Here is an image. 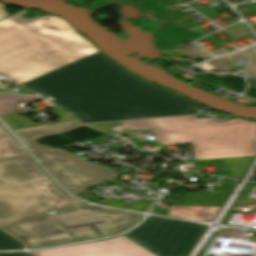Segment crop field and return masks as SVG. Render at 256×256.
Masks as SVG:
<instances>
[{
    "label": "crop field",
    "instance_id": "1",
    "mask_svg": "<svg viewBox=\"0 0 256 256\" xmlns=\"http://www.w3.org/2000/svg\"><path fill=\"white\" fill-rule=\"evenodd\" d=\"M0 21V75L84 123L192 114L193 101L122 68L58 16ZM49 17L48 20H45Z\"/></svg>",
    "mask_w": 256,
    "mask_h": 256
},
{
    "label": "crop field",
    "instance_id": "2",
    "mask_svg": "<svg viewBox=\"0 0 256 256\" xmlns=\"http://www.w3.org/2000/svg\"><path fill=\"white\" fill-rule=\"evenodd\" d=\"M83 205L61 192L27 154L0 159V225Z\"/></svg>",
    "mask_w": 256,
    "mask_h": 256
},
{
    "label": "crop field",
    "instance_id": "3",
    "mask_svg": "<svg viewBox=\"0 0 256 256\" xmlns=\"http://www.w3.org/2000/svg\"><path fill=\"white\" fill-rule=\"evenodd\" d=\"M140 218V214L89 205L3 229L35 248L114 235Z\"/></svg>",
    "mask_w": 256,
    "mask_h": 256
},
{
    "label": "crop field",
    "instance_id": "4",
    "mask_svg": "<svg viewBox=\"0 0 256 256\" xmlns=\"http://www.w3.org/2000/svg\"><path fill=\"white\" fill-rule=\"evenodd\" d=\"M175 144L189 143L196 160L256 153V123L232 119L216 123L212 119L195 120L194 116L169 118Z\"/></svg>",
    "mask_w": 256,
    "mask_h": 256
},
{
    "label": "crop field",
    "instance_id": "5",
    "mask_svg": "<svg viewBox=\"0 0 256 256\" xmlns=\"http://www.w3.org/2000/svg\"><path fill=\"white\" fill-rule=\"evenodd\" d=\"M203 229L204 226L200 224L151 217L125 236L159 256H186ZM0 256H28V254L12 253L0 254Z\"/></svg>",
    "mask_w": 256,
    "mask_h": 256
},
{
    "label": "crop field",
    "instance_id": "6",
    "mask_svg": "<svg viewBox=\"0 0 256 256\" xmlns=\"http://www.w3.org/2000/svg\"><path fill=\"white\" fill-rule=\"evenodd\" d=\"M33 154L72 194L100 181L115 182L117 178L115 171L93 165L63 150L55 149Z\"/></svg>",
    "mask_w": 256,
    "mask_h": 256
},
{
    "label": "crop field",
    "instance_id": "7",
    "mask_svg": "<svg viewBox=\"0 0 256 256\" xmlns=\"http://www.w3.org/2000/svg\"><path fill=\"white\" fill-rule=\"evenodd\" d=\"M32 253L34 256H156L123 236L113 240Z\"/></svg>",
    "mask_w": 256,
    "mask_h": 256
},
{
    "label": "crop field",
    "instance_id": "8",
    "mask_svg": "<svg viewBox=\"0 0 256 256\" xmlns=\"http://www.w3.org/2000/svg\"><path fill=\"white\" fill-rule=\"evenodd\" d=\"M80 122L77 120L58 123L48 126L22 129L14 131L16 135L23 141V143L29 148L31 152L48 150L50 147H44L36 142L40 137L49 136L53 134H60L62 132L74 130L80 127H83Z\"/></svg>",
    "mask_w": 256,
    "mask_h": 256
},
{
    "label": "crop field",
    "instance_id": "9",
    "mask_svg": "<svg viewBox=\"0 0 256 256\" xmlns=\"http://www.w3.org/2000/svg\"><path fill=\"white\" fill-rule=\"evenodd\" d=\"M164 21L166 22V26L162 30H158L163 26ZM154 35L160 51L178 49L174 44L188 39L202 37L200 34L182 30L164 19L158 21Z\"/></svg>",
    "mask_w": 256,
    "mask_h": 256
},
{
    "label": "crop field",
    "instance_id": "10",
    "mask_svg": "<svg viewBox=\"0 0 256 256\" xmlns=\"http://www.w3.org/2000/svg\"><path fill=\"white\" fill-rule=\"evenodd\" d=\"M230 193L231 191L185 194L177 201L163 200L173 203L171 206H222Z\"/></svg>",
    "mask_w": 256,
    "mask_h": 256
},
{
    "label": "crop field",
    "instance_id": "11",
    "mask_svg": "<svg viewBox=\"0 0 256 256\" xmlns=\"http://www.w3.org/2000/svg\"><path fill=\"white\" fill-rule=\"evenodd\" d=\"M220 207H170V215L199 221L212 220Z\"/></svg>",
    "mask_w": 256,
    "mask_h": 256
},
{
    "label": "crop field",
    "instance_id": "12",
    "mask_svg": "<svg viewBox=\"0 0 256 256\" xmlns=\"http://www.w3.org/2000/svg\"><path fill=\"white\" fill-rule=\"evenodd\" d=\"M0 117L6 122V124L12 130L53 124V123H32L26 116H19L17 114L3 115ZM57 117H60V119H58L56 123L75 119L69 114H65Z\"/></svg>",
    "mask_w": 256,
    "mask_h": 256
},
{
    "label": "crop field",
    "instance_id": "13",
    "mask_svg": "<svg viewBox=\"0 0 256 256\" xmlns=\"http://www.w3.org/2000/svg\"><path fill=\"white\" fill-rule=\"evenodd\" d=\"M252 159L253 157H240V158L217 159V160H203V161H194V162L201 163V162L226 161L233 174H223L220 176L243 179Z\"/></svg>",
    "mask_w": 256,
    "mask_h": 256
},
{
    "label": "crop field",
    "instance_id": "14",
    "mask_svg": "<svg viewBox=\"0 0 256 256\" xmlns=\"http://www.w3.org/2000/svg\"><path fill=\"white\" fill-rule=\"evenodd\" d=\"M42 100L50 107L54 105L39 98L38 96H26V95H15V94H0V115L15 113L17 101H34Z\"/></svg>",
    "mask_w": 256,
    "mask_h": 256
},
{
    "label": "crop field",
    "instance_id": "15",
    "mask_svg": "<svg viewBox=\"0 0 256 256\" xmlns=\"http://www.w3.org/2000/svg\"><path fill=\"white\" fill-rule=\"evenodd\" d=\"M156 139L164 145L174 144L168 118L148 120Z\"/></svg>",
    "mask_w": 256,
    "mask_h": 256
},
{
    "label": "crop field",
    "instance_id": "16",
    "mask_svg": "<svg viewBox=\"0 0 256 256\" xmlns=\"http://www.w3.org/2000/svg\"><path fill=\"white\" fill-rule=\"evenodd\" d=\"M243 54H244L243 51H238L236 53L219 58L217 60L204 63L201 65V67L207 71H212V72H215V71L229 72L234 59H245V56Z\"/></svg>",
    "mask_w": 256,
    "mask_h": 256
},
{
    "label": "crop field",
    "instance_id": "17",
    "mask_svg": "<svg viewBox=\"0 0 256 256\" xmlns=\"http://www.w3.org/2000/svg\"><path fill=\"white\" fill-rule=\"evenodd\" d=\"M25 151L8 132L0 133V158L24 154Z\"/></svg>",
    "mask_w": 256,
    "mask_h": 256
},
{
    "label": "crop field",
    "instance_id": "18",
    "mask_svg": "<svg viewBox=\"0 0 256 256\" xmlns=\"http://www.w3.org/2000/svg\"><path fill=\"white\" fill-rule=\"evenodd\" d=\"M154 201H136L130 203V205H126L125 202L119 201L117 199L108 200L105 202H101L98 204L110 206V207H117V208H125L137 211H144L146 210Z\"/></svg>",
    "mask_w": 256,
    "mask_h": 256
},
{
    "label": "crop field",
    "instance_id": "19",
    "mask_svg": "<svg viewBox=\"0 0 256 256\" xmlns=\"http://www.w3.org/2000/svg\"><path fill=\"white\" fill-rule=\"evenodd\" d=\"M23 248L22 244L0 230V250Z\"/></svg>",
    "mask_w": 256,
    "mask_h": 256
},
{
    "label": "crop field",
    "instance_id": "20",
    "mask_svg": "<svg viewBox=\"0 0 256 256\" xmlns=\"http://www.w3.org/2000/svg\"><path fill=\"white\" fill-rule=\"evenodd\" d=\"M176 51H178L184 55H187V56H194V57L204 59V60L213 58L212 56H210L208 53H206L204 50H202L197 45H193V46H190V47H187V48H184L181 50H176Z\"/></svg>",
    "mask_w": 256,
    "mask_h": 256
},
{
    "label": "crop field",
    "instance_id": "21",
    "mask_svg": "<svg viewBox=\"0 0 256 256\" xmlns=\"http://www.w3.org/2000/svg\"><path fill=\"white\" fill-rule=\"evenodd\" d=\"M249 56V62L247 65L246 76L256 77V46L246 49Z\"/></svg>",
    "mask_w": 256,
    "mask_h": 256
},
{
    "label": "crop field",
    "instance_id": "22",
    "mask_svg": "<svg viewBox=\"0 0 256 256\" xmlns=\"http://www.w3.org/2000/svg\"><path fill=\"white\" fill-rule=\"evenodd\" d=\"M126 130L150 129L147 120L123 122Z\"/></svg>",
    "mask_w": 256,
    "mask_h": 256
},
{
    "label": "crop field",
    "instance_id": "23",
    "mask_svg": "<svg viewBox=\"0 0 256 256\" xmlns=\"http://www.w3.org/2000/svg\"><path fill=\"white\" fill-rule=\"evenodd\" d=\"M234 187H235L234 180L223 178L221 183H220V188H219L218 191H220V190H233Z\"/></svg>",
    "mask_w": 256,
    "mask_h": 256
},
{
    "label": "crop field",
    "instance_id": "24",
    "mask_svg": "<svg viewBox=\"0 0 256 256\" xmlns=\"http://www.w3.org/2000/svg\"><path fill=\"white\" fill-rule=\"evenodd\" d=\"M215 167V173L221 174V173H230L225 163H217V164H211Z\"/></svg>",
    "mask_w": 256,
    "mask_h": 256
},
{
    "label": "crop field",
    "instance_id": "25",
    "mask_svg": "<svg viewBox=\"0 0 256 256\" xmlns=\"http://www.w3.org/2000/svg\"><path fill=\"white\" fill-rule=\"evenodd\" d=\"M75 195H77L80 198L85 199V200H88V199L94 197V195L91 192H89L87 189L78 194H75Z\"/></svg>",
    "mask_w": 256,
    "mask_h": 256
},
{
    "label": "crop field",
    "instance_id": "26",
    "mask_svg": "<svg viewBox=\"0 0 256 256\" xmlns=\"http://www.w3.org/2000/svg\"><path fill=\"white\" fill-rule=\"evenodd\" d=\"M211 53L215 54L216 56H220V55L226 54L227 52L219 49V50L211 51Z\"/></svg>",
    "mask_w": 256,
    "mask_h": 256
},
{
    "label": "crop field",
    "instance_id": "27",
    "mask_svg": "<svg viewBox=\"0 0 256 256\" xmlns=\"http://www.w3.org/2000/svg\"><path fill=\"white\" fill-rule=\"evenodd\" d=\"M8 16V14H6L4 11H3V4L0 3V19L3 18V17H6Z\"/></svg>",
    "mask_w": 256,
    "mask_h": 256
},
{
    "label": "crop field",
    "instance_id": "28",
    "mask_svg": "<svg viewBox=\"0 0 256 256\" xmlns=\"http://www.w3.org/2000/svg\"><path fill=\"white\" fill-rule=\"evenodd\" d=\"M50 112L55 115V114H59V113H63L66 112L65 110L58 108V109H54V110H50Z\"/></svg>",
    "mask_w": 256,
    "mask_h": 256
},
{
    "label": "crop field",
    "instance_id": "29",
    "mask_svg": "<svg viewBox=\"0 0 256 256\" xmlns=\"http://www.w3.org/2000/svg\"><path fill=\"white\" fill-rule=\"evenodd\" d=\"M6 131L1 125H0V132Z\"/></svg>",
    "mask_w": 256,
    "mask_h": 256
},
{
    "label": "crop field",
    "instance_id": "30",
    "mask_svg": "<svg viewBox=\"0 0 256 256\" xmlns=\"http://www.w3.org/2000/svg\"><path fill=\"white\" fill-rule=\"evenodd\" d=\"M251 241L256 242V237H252V238H251Z\"/></svg>",
    "mask_w": 256,
    "mask_h": 256
},
{
    "label": "crop field",
    "instance_id": "31",
    "mask_svg": "<svg viewBox=\"0 0 256 256\" xmlns=\"http://www.w3.org/2000/svg\"><path fill=\"white\" fill-rule=\"evenodd\" d=\"M255 180H256V177H255Z\"/></svg>",
    "mask_w": 256,
    "mask_h": 256
}]
</instances>
